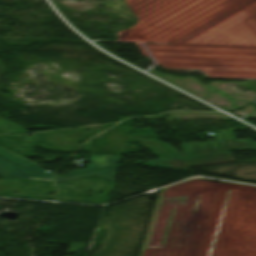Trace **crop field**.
Wrapping results in <instances>:
<instances>
[{
  "mask_svg": "<svg viewBox=\"0 0 256 256\" xmlns=\"http://www.w3.org/2000/svg\"><path fill=\"white\" fill-rule=\"evenodd\" d=\"M214 137L215 142L181 143L183 154H179L167 143L162 144L160 141L140 143L155 156L162 158L149 161L148 165L187 172H189L187 167L191 166L234 161L231 150H256V142L235 140L233 131L219 132V135H214ZM203 143L206 144L203 145Z\"/></svg>",
  "mask_w": 256,
  "mask_h": 256,
  "instance_id": "8a807250",
  "label": "crop field"
},
{
  "mask_svg": "<svg viewBox=\"0 0 256 256\" xmlns=\"http://www.w3.org/2000/svg\"><path fill=\"white\" fill-rule=\"evenodd\" d=\"M0 176L12 178H25L32 180L48 181L51 182L52 175L33 174L3 158L0 157Z\"/></svg>",
  "mask_w": 256,
  "mask_h": 256,
  "instance_id": "ac0d7876",
  "label": "crop field"
},
{
  "mask_svg": "<svg viewBox=\"0 0 256 256\" xmlns=\"http://www.w3.org/2000/svg\"><path fill=\"white\" fill-rule=\"evenodd\" d=\"M120 160H121L120 157H113L112 155L90 156V164H87L88 169L70 171V172L68 171L69 173L67 174L106 168L111 166H117L120 164Z\"/></svg>",
  "mask_w": 256,
  "mask_h": 256,
  "instance_id": "34b2d1b8",
  "label": "crop field"
},
{
  "mask_svg": "<svg viewBox=\"0 0 256 256\" xmlns=\"http://www.w3.org/2000/svg\"><path fill=\"white\" fill-rule=\"evenodd\" d=\"M0 156L4 157L20 166H21V164H24V166H22V167H24L34 173L52 174V173L45 172L44 169H42L38 165L2 148L1 146H0Z\"/></svg>",
  "mask_w": 256,
  "mask_h": 256,
  "instance_id": "412701ff",
  "label": "crop field"
},
{
  "mask_svg": "<svg viewBox=\"0 0 256 256\" xmlns=\"http://www.w3.org/2000/svg\"><path fill=\"white\" fill-rule=\"evenodd\" d=\"M118 167L116 168H110V169H104V170H98V171H92V172H87V173H82V174H76V175H71V176H55V182H60V181H66V180H72V179H77L81 177H86V176H101L109 180H114L116 176Z\"/></svg>",
  "mask_w": 256,
  "mask_h": 256,
  "instance_id": "f4fd0767",
  "label": "crop field"
}]
</instances>
